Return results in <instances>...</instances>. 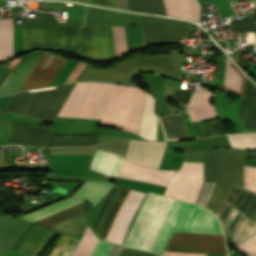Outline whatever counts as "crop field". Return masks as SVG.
<instances>
[{"instance_id":"crop-field-6","label":"crop field","mask_w":256,"mask_h":256,"mask_svg":"<svg viewBox=\"0 0 256 256\" xmlns=\"http://www.w3.org/2000/svg\"><path fill=\"white\" fill-rule=\"evenodd\" d=\"M129 190L115 186L104 203L94 228L105 239ZM144 193L130 190L106 240L122 244L129 222L137 210Z\"/></svg>"},{"instance_id":"crop-field-42","label":"crop field","mask_w":256,"mask_h":256,"mask_svg":"<svg viewBox=\"0 0 256 256\" xmlns=\"http://www.w3.org/2000/svg\"><path fill=\"white\" fill-rule=\"evenodd\" d=\"M251 219L256 220V211H255V213L252 215Z\"/></svg>"},{"instance_id":"crop-field-14","label":"crop field","mask_w":256,"mask_h":256,"mask_svg":"<svg viewBox=\"0 0 256 256\" xmlns=\"http://www.w3.org/2000/svg\"><path fill=\"white\" fill-rule=\"evenodd\" d=\"M45 52L23 56L0 88V96L18 92Z\"/></svg>"},{"instance_id":"crop-field-1","label":"crop field","mask_w":256,"mask_h":256,"mask_svg":"<svg viewBox=\"0 0 256 256\" xmlns=\"http://www.w3.org/2000/svg\"><path fill=\"white\" fill-rule=\"evenodd\" d=\"M145 91L103 83H76L58 116L102 119L137 134Z\"/></svg>"},{"instance_id":"crop-field-25","label":"crop field","mask_w":256,"mask_h":256,"mask_svg":"<svg viewBox=\"0 0 256 256\" xmlns=\"http://www.w3.org/2000/svg\"><path fill=\"white\" fill-rule=\"evenodd\" d=\"M246 76L227 59L224 89L232 91L240 96L243 95Z\"/></svg>"},{"instance_id":"crop-field-3","label":"crop field","mask_w":256,"mask_h":256,"mask_svg":"<svg viewBox=\"0 0 256 256\" xmlns=\"http://www.w3.org/2000/svg\"><path fill=\"white\" fill-rule=\"evenodd\" d=\"M112 186L113 184L110 183L86 181L72 198L39 210L37 212L23 216L21 219L36 221L68 207L81 203L85 200L94 205L105 195V193ZM83 212V205L81 203L41 220H38L36 221V223L49 227ZM85 226L86 218L85 214L83 213L49 228L55 231L75 236L79 233H82L85 229Z\"/></svg>"},{"instance_id":"crop-field-39","label":"crop field","mask_w":256,"mask_h":256,"mask_svg":"<svg viewBox=\"0 0 256 256\" xmlns=\"http://www.w3.org/2000/svg\"><path fill=\"white\" fill-rule=\"evenodd\" d=\"M21 57V56H20ZM20 57L16 58L13 60V62L10 64V66L8 67V69L5 71V73L3 74V76L0 79V86L1 84L4 82V80L6 79V77L8 76V74L11 72V70L13 69V67L15 66V64L18 62V60L20 59Z\"/></svg>"},{"instance_id":"crop-field-13","label":"crop field","mask_w":256,"mask_h":256,"mask_svg":"<svg viewBox=\"0 0 256 256\" xmlns=\"http://www.w3.org/2000/svg\"><path fill=\"white\" fill-rule=\"evenodd\" d=\"M165 142L131 141L126 153V158L143 166L159 168Z\"/></svg>"},{"instance_id":"crop-field-43","label":"crop field","mask_w":256,"mask_h":256,"mask_svg":"<svg viewBox=\"0 0 256 256\" xmlns=\"http://www.w3.org/2000/svg\"><path fill=\"white\" fill-rule=\"evenodd\" d=\"M256 23V21H254Z\"/></svg>"},{"instance_id":"crop-field-18","label":"crop field","mask_w":256,"mask_h":256,"mask_svg":"<svg viewBox=\"0 0 256 256\" xmlns=\"http://www.w3.org/2000/svg\"><path fill=\"white\" fill-rule=\"evenodd\" d=\"M183 162L204 163V182H216V151L185 150Z\"/></svg>"},{"instance_id":"crop-field-15","label":"crop field","mask_w":256,"mask_h":256,"mask_svg":"<svg viewBox=\"0 0 256 256\" xmlns=\"http://www.w3.org/2000/svg\"><path fill=\"white\" fill-rule=\"evenodd\" d=\"M174 173L173 170L145 168L125 159L119 177L167 186Z\"/></svg>"},{"instance_id":"crop-field-17","label":"crop field","mask_w":256,"mask_h":256,"mask_svg":"<svg viewBox=\"0 0 256 256\" xmlns=\"http://www.w3.org/2000/svg\"><path fill=\"white\" fill-rule=\"evenodd\" d=\"M213 94L199 87L188 105L192 121L218 117L211 105Z\"/></svg>"},{"instance_id":"crop-field-4","label":"crop field","mask_w":256,"mask_h":256,"mask_svg":"<svg viewBox=\"0 0 256 256\" xmlns=\"http://www.w3.org/2000/svg\"><path fill=\"white\" fill-rule=\"evenodd\" d=\"M173 231L222 234L221 224L212 212L176 199L150 252L162 256Z\"/></svg>"},{"instance_id":"crop-field-29","label":"crop field","mask_w":256,"mask_h":256,"mask_svg":"<svg viewBox=\"0 0 256 256\" xmlns=\"http://www.w3.org/2000/svg\"><path fill=\"white\" fill-rule=\"evenodd\" d=\"M227 136L233 147L256 149V134H233Z\"/></svg>"},{"instance_id":"crop-field-2","label":"crop field","mask_w":256,"mask_h":256,"mask_svg":"<svg viewBox=\"0 0 256 256\" xmlns=\"http://www.w3.org/2000/svg\"><path fill=\"white\" fill-rule=\"evenodd\" d=\"M24 51L58 48L79 54V26L59 24L53 14L36 12L24 18ZM80 55L95 61L115 59L111 27L80 26Z\"/></svg>"},{"instance_id":"crop-field-26","label":"crop field","mask_w":256,"mask_h":256,"mask_svg":"<svg viewBox=\"0 0 256 256\" xmlns=\"http://www.w3.org/2000/svg\"><path fill=\"white\" fill-rule=\"evenodd\" d=\"M130 10L166 15L163 0H128Z\"/></svg>"},{"instance_id":"crop-field-16","label":"crop field","mask_w":256,"mask_h":256,"mask_svg":"<svg viewBox=\"0 0 256 256\" xmlns=\"http://www.w3.org/2000/svg\"><path fill=\"white\" fill-rule=\"evenodd\" d=\"M239 119L244 131H256V87L246 79Z\"/></svg>"},{"instance_id":"crop-field-12","label":"crop field","mask_w":256,"mask_h":256,"mask_svg":"<svg viewBox=\"0 0 256 256\" xmlns=\"http://www.w3.org/2000/svg\"><path fill=\"white\" fill-rule=\"evenodd\" d=\"M65 63L66 60L46 53L20 91L50 85Z\"/></svg>"},{"instance_id":"crop-field-40","label":"crop field","mask_w":256,"mask_h":256,"mask_svg":"<svg viewBox=\"0 0 256 256\" xmlns=\"http://www.w3.org/2000/svg\"><path fill=\"white\" fill-rule=\"evenodd\" d=\"M114 1H115L116 7L129 9L127 0H114Z\"/></svg>"},{"instance_id":"crop-field-38","label":"crop field","mask_w":256,"mask_h":256,"mask_svg":"<svg viewBox=\"0 0 256 256\" xmlns=\"http://www.w3.org/2000/svg\"><path fill=\"white\" fill-rule=\"evenodd\" d=\"M75 1L89 2V3H95V4H101V5L115 7L113 0H75Z\"/></svg>"},{"instance_id":"crop-field-10","label":"crop field","mask_w":256,"mask_h":256,"mask_svg":"<svg viewBox=\"0 0 256 256\" xmlns=\"http://www.w3.org/2000/svg\"><path fill=\"white\" fill-rule=\"evenodd\" d=\"M165 251L226 255L222 235L174 232ZM164 252L163 256H206L207 254Z\"/></svg>"},{"instance_id":"crop-field-31","label":"crop field","mask_w":256,"mask_h":256,"mask_svg":"<svg viewBox=\"0 0 256 256\" xmlns=\"http://www.w3.org/2000/svg\"><path fill=\"white\" fill-rule=\"evenodd\" d=\"M244 188L256 192V167L244 165Z\"/></svg>"},{"instance_id":"crop-field-28","label":"crop field","mask_w":256,"mask_h":256,"mask_svg":"<svg viewBox=\"0 0 256 256\" xmlns=\"http://www.w3.org/2000/svg\"><path fill=\"white\" fill-rule=\"evenodd\" d=\"M97 240L95 234L87 227L73 256H90Z\"/></svg>"},{"instance_id":"crop-field-11","label":"crop field","mask_w":256,"mask_h":256,"mask_svg":"<svg viewBox=\"0 0 256 256\" xmlns=\"http://www.w3.org/2000/svg\"><path fill=\"white\" fill-rule=\"evenodd\" d=\"M202 184L203 164L183 163L164 195L195 203Z\"/></svg>"},{"instance_id":"crop-field-22","label":"crop field","mask_w":256,"mask_h":256,"mask_svg":"<svg viewBox=\"0 0 256 256\" xmlns=\"http://www.w3.org/2000/svg\"><path fill=\"white\" fill-rule=\"evenodd\" d=\"M167 15L178 16L198 21L196 0H164Z\"/></svg>"},{"instance_id":"crop-field-37","label":"crop field","mask_w":256,"mask_h":256,"mask_svg":"<svg viewBox=\"0 0 256 256\" xmlns=\"http://www.w3.org/2000/svg\"><path fill=\"white\" fill-rule=\"evenodd\" d=\"M120 256H155V255L123 248Z\"/></svg>"},{"instance_id":"crop-field-9","label":"crop field","mask_w":256,"mask_h":256,"mask_svg":"<svg viewBox=\"0 0 256 256\" xmlns=\"http://www.w3.org/2000/svg\"><path fill=\"white\" fill-rule=\"evenodd\" d=\"M244 156L217 151V184L207 204L214 213L234 184L243 188Z\"/></svg>"},{"instance_id":"crop-field-34","label":"crop field","mask_w":256,"mask_h":256,"mask_svg":"<svg viewBox=\"0 0 256 256\" xmlns=\"http://www.w3.org/2000/svg\"><path fill=\"white\" fill-rule=\"evenodd\" d=\"M85 25H98V8L87 6Z\"/></svg>"},{"instance_id":"crop-field-20","label":"crop field","mask_w":256,"mask_h":256,"mask_svg":"<svg viewBox=\"0 0 256 256\" xmlns=\"http://www.w3.org/2000/svg\"><path fill=\"white\" fill-rule=\"evenodd\" d=\"M166 140L191 138L182 115H166L160 117Z\"/></svg>"},{"instance_id":"crop-field-19","label":"crop field","mask_w":256,"mask_h":256,"mask_svg":"<svg viewBox=\"0 0 256 256\" xmlns=\"http://www.w3.org/2000/svg\"><path fill=\"white\" fill-rule=\"evenodd\" d=\"M124 158L105 151H96L91 168L108 176L117 178L119 167Z\"/></svg>"},{"instance_id":"crop-field-32","label":"crop field","mask_w":256,"mask_h":256,"mask_svg":"<svg viewBox=\"0 0 256 256\" xmlns=\"http://www.w3.org/2000/svg\"><path fill=\"white\" fill-rule=\"evenodd\" d=\"M238 248L247 256H256V235Z\"/></svg>"},{"instance_id":"crop-field-24","label":"crop field","mask_w":256,"mask_h":256,"mask_svg":"<svg viewBox=\"0 0 256 256\" xmlns=\"http://www.w3.org/2000/svg\"><path fill=\"white\" fill-rule=\"evenodd\" d=\"M13 58V20H0V60Z\"/></svg>"},{"instance_id":"crop-field-36","label":"crop field","mask_w":256,"mask_h":256,"mask_svg":"<svg viewBox=\"0 0 256 256\" xmlns=\"http://www.w3.org/2000/svg\"><path fill=\"white\" fill-rule=\"evenodd\" d=\"M77 65V64H76ZM85 67L84 64L78 63V65L75 67V69L72 71L70 76L67 78V80L64 82V84L72 83L77 78L79 73L82 71V69Z\"/></svg>"},{"instance_id":"crop-field-23","label":"crop field","mask_w":256,"mask_h":256,"mask_svg":"<svg viewBox=\"0 0 256 256\" xmlns=\"http://www.w3.org/2000/svg\"><path fill=\"white\" fill-rule=\"evenodd\" d=\"M53 230L37 225L17 252L34 255ZM53 233V232H52Z\"/></svg>"},{"instance_id":"crop-field-35","label":"crop field","mask_w":256,"mask_h":256,"mask_svg":"<svg viewBox=\"0 0 256 256\" xmlns=\"http://www.w3.org/2000/svg\"><path fill=\"white\" fill-rule=\"evenodd\" d=\"M191 91H186V90H179L175 89L174 94L172 98L177 101L178 103L184 104L186 103Z\"/></svg>"},{"instance_id":"crop-field-5","label":"crop field","mask_w":256,"mask_h":256,"mask_svg":"<svg viewBox=\"0 0 256 256\" xmlns=\"http://www.w3.org/2000/svg\"><path fill=\"white\" fill-rule=\"evenodd\" d=\"M142 71H152L179 78L175 54H164L128 58L108 70L86 66L76 82L99 81L131 85L133 76Z\"/></svg>"},{"instance_id":"crop-field-33","label":"crop field","mask_w":256,"mask_h":256,"mask_svg":"<svg viewBox=\"0 0 256 256\" xmlns=\"http://www.w3.org/2000/svg\"><path fill=\"white\" fill-rule=\"evenodd\" d=\"M112 246L99 240L91 256H108Z\"/></svg>"},{"instance_id":"crop-field-30","label":"crop field","mask_w":256,"mask_h":256,"mask_svg":"<svg viewBox=\"0 0 256 256\" xmlns=\"http://www.w3.org/2000/svg\"><path fill=\"white\" fill-rule=\"evenodd\" d=\"M116 58L127 52L124 27H112Z\"/></svg>"},{"instance_id":"crop-field-7","label":"crop field","mask_w":256,"mask_h":256,"mask_svg":"<svg viewBox=\"0 0 256 256\" xmlns=\"http://www.w3.org/2000/svg\"><path fill=\"white\" fill-rule=\"evenodd\" d=\"M75 84L17 94L8 112L53 122Z\"/></svg>"},{"instance_id":"crop-field-8","label":"crop field","mask_w":256,"mask_h":256,"mask_svg":"<svg viewBox=\"0 0 256 256\" xmlns=\"http://www.w3.org/2000/svg\"><path fill=\"white\" fill-rule=\"evenodd\" d=\"M172 202L150 193L124 246L149 252Z\"/></svg>"},{"instance_id":"crop-field-41","label":"crop field","mask_w":256,"mask_h":256,"mask_svg":"<svg viewBox=\"0 0 256 256\" xmlns=\"http://www.w3.org/2000/svg\"><path fill=\"white\" fill-rule=\"evenodd\" d=\"M12 61H9L7 63H4V64H1L0 65V77L2 76V74L4 73V71L7 69V67L9 66V64L11 63Z\"/></svg>"},{"instance_id":"crop-field-21","label":"crop field","mask_w":256,"mask_h":256,"mask_svg":"<svg viewBox=\"0 0 256 256\" xmlns=\"http://www.w3.org/2000/svg\"><path fill=\"white\" fill-rule=\"evenodd\" d=\"M157 116L154 114V99L147 93L139 135L148 140H156Z\"/></svg>"},{"instance_id":"crop-field-27","label":"crop field","mask_w":256,"mask_h":256,"mask_svg":"<svg viewBox=\"0 0 256 256\" xmlns=\"http://www.w3.org/2000/svg\"><path fill=\"white\" fill-rule=\"evenodd\" d=\"M79 241V239L63 234L50 256H72Z\"/></svg>"}]
</instances>
